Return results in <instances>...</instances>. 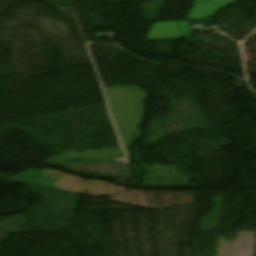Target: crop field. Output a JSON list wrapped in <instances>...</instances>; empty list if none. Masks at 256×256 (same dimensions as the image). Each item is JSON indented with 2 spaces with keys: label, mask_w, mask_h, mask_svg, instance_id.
Segmentation results:
<instances>
[{
  "label": "crop field",
  "mask_w": 256,
  "mask_h": 256,
  "mask_svg": "<svg viewBox=\"0 0 256 256\" xmlns=\"http://www.w3.org/2000/svg\"><path fill=\"white\" fill-rule=\"evenodd\" d=\"M181 39L179 22L154 25L147 40Z\"/></svg>",
  "instance_id": "1"
},
{
  "label": "crop field",
  "mask_w": 256,
  "mask_h": 256,
  "mask_svg": "<svg viewBox=\"0 0 256 256\" xmlns=\"http://www.w3.org/2000/svg\"><path fill=\"white\" fill-rule=\"evenodd\" d=\"M241 0H217L204 4L196 5L190 18L192 20H198L212 15L218 9L228 6L230 3H234Z\"/></svg>",
  "instance_id": "2"
},
{
  "label": "crop field",
  "mask_w": 256,
  "mask_h": 256,
  "mask_svg": "<svg viewBox=\"0 0 256 256\" xmlns=\"http://www.w3.org/2000/svg\"><path fill=\"white\" fill-rule=\"evenodd\" d=\"M181 33L183 38L191 37L193 31L188 29L189 22H180Z\"/></svg>",
  "instance_id": "3"
},
{
  "label": "crop field",
  "mask_w": 256,
  "mask_h": 256,
  "mask_svg": "<svg viewBox=\"0 0 256 256\" xmlns=\"http://www.w3.org/2000/svg\"><path fill=\"white\" fill-rule=\"evenodd\" d=\"M202 1H206V0H197V1H196V3H198V2H202Z\"/></svg>",
  "instance_id": "4"
}]
</instances>
